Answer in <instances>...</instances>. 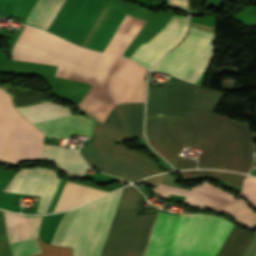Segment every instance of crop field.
<instances>
[{
  "label": "crop field",
  "mask_w": 256,
  "mask_h": 256,
  "mask_svg": "<svg viewBox=\"0 0 256 256\" xmlns=\"http://www.w3.org/2000/svg\"><path fill=\"white\" fill-rule=\"evenodd\" d=\"M223 94L199 87L181 119L147 118L151 147L175 169L196 168V161L179 155L184 147H195L203 149L199 168L248 173L254 162L253 135L249 123L214 113Z\"/></svg>",
  "instance_id": "crop-field-1"
},
{
  "label": "crop field",
  "mask_w": 256,
  "mask_h": 256,
  "mask_svg": "<svg viewBox=\"0 0 256 256\" xmlns=\"http://www.w3.org/2000/svg\"><path fill=\"white\" fill-rule=\"evenodd\" d=\"M121 190L78 208L61 243L73 247V256H101ZM140 194L132 185L122 190L102 256L143 255L157 213L137 216Z\"/></svg>",
  "instance_id": "crop-field-2"
},
{
  "label": "crop field",
  "mask_w": 256,
  "mask_h": 256,
  "mask_svg": "<svg viewBox=\"0 0 256 256\" xmlns=\"http://www.w3.org/2000/svg\"><path fill=\"white\" fill-rule=\"evenodd\" d=\"M144 103L121 104L106 121L96 124L88 146L80 151L88 165L96 170L129 181L164 172L144 153L115 145L113 139L144 136L142 133Z\"/></svg>",
  "instance_id": "crop-field-3"
},
{
  "label": "crop field",
  "mask_w": 256,
  "mask_h": 256,
  "mask_svg": "<svg viewBox=\"0 0 256 256\" xmlns=\"http://www.w3.org/2000/svg\"><path fill=\"white\" fill-rule=\"evenodd\" d=\"M115 58L27 26L13 50L15 60L59 65L55 76L100 86Z\"/></svg>",
  "instance_id": "crop-field-4"
},
{
  "label": "crop field",
  "mask_w": 256,
  "mask_h": 256,
  "mask_svg": "<svg viewBox=\"0 0 256 256\" xmlns=\"http://www.w3.org/2000/svg\"><path fill=\"white\" fill-rule=\"evenodd\" d=\"M233 225L217 217L180 214L167 256H216Z\"/></svg>",
  "instance_id": "crop-field-5"
},
{
  "label": "crop field",
  "mask_w": 256,
  "mask_h": 256,
  "mask_svg": "<svg viewBox=\"0 0 256 256\" xmlns=\"http://www.w3.org/2000/svg\"><path fill=\"white\" fill-rule=\"evenodd\" d=\"M146 69L117 56L100 93L89 91L80 107L103 121L113 106L126 102H143Z\"/></svg>",
  "instance_id": "crop-field-6"
},
{
  "label": "crop field",
  "mask_w": 256,
  "mask_h": 256,
  "mask_svg": "<svg viewBox=\"0 0 256 256\" xmlns=\"http://www.w3.org/2000/svg\"><path fill=\"white\" fill-rule=\"evenodd\" d=\"M41 133L13 108L9 96L0 89V158L14 163L41 158Z\"/></svg>",
  "instance_id": "crop-field-7"
},
{
  "label": "crop field",
  "mask_w": 256,
  "mask_h": 256,
  "mask_svg": "<svg viewBox=\"0 0 256 256\" xmlns=\"http://www.w3.org/2000/svg\"><path fill=\"white\" fill-rule=\"evenodd\" d=\"M210 35L191 27V32L185 41L161 59L154 70L172 75L204 49ZM213 41L212 34L205 49L172 76L196 84L212 58Z\"/></svg>",
  "instance_id": "crop-field-8"
},
{
  "label": "crop field",
  "mask_w": 256,
  "mask_h": 256,
  "mask_svg": "<svg viewBox=\"0 0 256 256\" xmlns=\"http://www.w3.org/2000/svg\"><path fill=\"white\" fill-rule=\"evenodd\" d=\"M153 190L166 198L169 193L187 196L184 204L229 213L245 226L256 228V212L247 206L245 200L238 199L208 182L204 181L201 185L194 186L192 191L162 184Z\"/></svg>",
  "instance_id": "crop-field-9"
},
{
  "label": "crop field",
  "mask_w": 256,
  "mask_h": 256,
  "mask_svg": "<svg viewBox=\"0 0 256 256\" xmlns=\"http://www.w3.org/2000/svg\"><path fill=\"white\" fill-rule=\"evenodd\" d=\"M17 110L31 123L71 115L68 107L51 102L20 107ZM93 123L94 120L79 115H71L35 123V125L53 138H62L75 134L90 135Z\"/></svg>",
  "instance_id": "crop-field-10"
},
{
  "label": "crop field",
  "mask_w": 256,
  "mask_h": 256,
  "mask_svg": "<svg viewBox=\"0 0 256 256\" xmlns=\"http://www.w3.org/2000/svg\"><path fill=\"white\" fill-rule=\"evenodd\" d=\"M198 86L175 79L174 86H149L147 116H183Z\"/></svg>",
  "instance_id": "crop-field-11"
},
{
  "label": "crop field",
  "mask_w": 256,
  "mask_h": 256,
  "mask_svg": "<svg viewBox=\"0 0 256 256\" xmlns=\"http://www.w3.org/2000/svg\"><path fill=\"white\" fill-rule=\"evenodd\" d=\"M60 181L53 170L22 169L16 173L4 191L41 196L37 213H45Z\"/></svg>",
  "instance_id": "crop-field-12"
},
{
  "label": "crop field",
  "mask_w": 256,
  "mask_h": 256,
  "mask_svg": "<svg viewBox=\"0 0 256 256\" xmlns=\"http://www.w3.org/2000/svg\"><path fill=\"white\" fill-rule=\"evenodd\" d=\"M187 29V18L174 15L168 25L149 42L142 44L131 58L150 68L184 38Z\"/></svg>",
  "instance_id": "crop-field-13"
},
{
  "label": "crop field",
  "mask_w": 256,
  "mask_h": 256,
  "mask_svg": "<svg viewBox=\"0 0 256 256\" xmlns=\"http://www.w3.org/2000/svg\"><path fill=\"white\" fill-rule=\"evenodd\" d=\"M43 159L51 161L70 175L83 177L89 168L76 150L45 145Z\"/></svg>",
  "instance_id": "crop-field-14"
},
{
  "label": "crop field",
  "mask_w": 256,
  "mask_h": 256,
  "mask_svg": "<svg viewBox=\"0 0 256 256\" xmlns=\"http://www.w3.org/2000/svg\"><path fill=\"white\" fill-rule=\"evenodd\" d=\"M6 231L9 243L37 237L40 221L39 216H23L4 211Z\"/></svg>",
  "instance_id": "crop-field-15"
},
{
  "label": "crop field",
  "mask_w": 256,
  "mask_h": 256,
  "mask_svg": "<svg viewBox=\"0 0 256 256\" xmlns=\"http://www.w3.org/2000/svg\"><path fill=\"white\" fill-rule=\"evenodd\" d=\"M176 216L160 212L151 233L145 256H166Z\"/></svg>",
  "instance_id": "crop-field-16"
},
{
  "label": "crop field",
  "mask_w": 256,
  "mask_h": 256,
  "mask_svg": "<svg viewBox=\"0 0 256 256\" xmlns=\"http://www.w3.org/2000/svg\"><path fill=\"white\" fill-rule=\"evenodd\" d=\"M106 193L67 181L53 212L67 210Z\"/></svg>",
  "instance_id": "crop-field-17"
},
{
  "label": "crop field",
  "mask_w": 256,
  "mask_h": 256,
  "mask_svg": "<svg viewBox=\"0 0 256 256\" xmlns=\"http://www.w3.org/2000/svg\"><path fill=\"white\" fill-rule=\"evenodd\" d=\"M144 23V21H140L126 15L116 34L106 48L105 53L122 55Z\"/></svg>",
  "instance_id": "crop-field-18"
},
{
  "label": "crop field",
  "mask_w": 256,
  "mask_h": 256,
  "mask_svg": "<svg viewBox=\"0 0 256 256\" xmlns=\"http://www.w3.org/2000/svg\"><path fill=\"white\" fill-rule=\"evenodd\" d=\"M65 0H38L25 24L47 31Z\"/></svg>",
  "instance_id": "crop-field-19"
},
{
  "label": "crop field",
  "mask_w": 256,
  "mask_h": 256,
  "mask_svg": "<svg viewBox=\"0 0 256 256\" xmlns=\"http://www.w3.org/2000/svg\"><path fill=\"white\" fill-rule=\"evenodd\" d=\"M254 235L255 232L244 230L235 224L217 256H242Z\"/></svg>",
  "instance_id": "crop-field-20"
},
{
  "label": "crop field",
  "mask_w": 256,
  "mask_h": 256,
  "mask_svg": "<svg viewBox=\"0 0 256 256\" xmlns=\"http://www.w3.org/2000/svg\"><path fill=\"white\" fill-rule=\"evenodd\" d=\"M2 88L11 95L15 107L48 101L41 93L31 89L12 85H3Z\"/></svg>",
  "instance_id": "crop-field-21"
},
{
  "label": "crop field",
  "mask_w": 256,
  "mask_h": 256,
  "mask_svg": "<svg viewBox=\"0 0 256 256\" xmlns=\"http://www.w3.org/2000/svg\"><path fill=\"white\" fill-rule=\"evenodd\" d=\"M184 176H193V175H206V176H215L218 177L230 185L241 187L245 175L223 172V171H213V170H192L182 172Z\"/></svg>",
  "instance_id": "crop-field-22"
},
{
  "label": "crop field",
  "mask_w": 256,
  "mask_h": 256,
  "mask_svg": "<svg viewBox=\"0 0 256 256\" xmlns=\"http://www.w3.org/2000/svg\"><path fill=\"white\" fill-rule=\"evenodd\" d=\"M11 250L14 256H29L41 253V250L34 239L26 240L23 242L11 244Z\"/></svg>",
  "instance_id": "crop-field-23"
},
{
  "label": "crop field",
  "mask_w": 256,
  "mask_h": 256,
  "mask_svg": "<svg viewBox=\"0 0 256 256\" xmlns=\"http://www.w3.org/2000/svg\"><path fill=\"white\" fill-rule=\"evenodd\" d=\"M36 240L43 253L33 256H72V248L44 244L40 237L36 238Z\"/></svg>",
  "instance_id": "crop-field-24"
},
{
  "label": "crop field",
  "mask_w": 256,
  "mask_h": 256,
  "mask_svg": "<svg viewBox=\"0 0 256 256\" xmlns=\"http://www.w3.org/2000/svg\"><path fill=\"white\" fill-rule=\"evenodd\" d=\"M240 194L249 199L251 203L256 206V178H245Z\"/></svg>",
  "instance_id": "crop-field-25"
},
{
  "label": "crop field",
  "mask_w": 256,
  "mask_h": 256,
  "mask_svg": "<svg viewBox=\"0 0 256 256\" xmlns=\"http://www.w3.org/2000/svg\"><path fill=\"white\" fill-rule=\"evenodd\" d=\"M76 210H77V208L66 212V214H65L64 218L62 219V221L59 225V228H58V230L55 234V237H54L51 244H55V245L60 244V242H61V240H62V238H63V236H64V234H65V232H66V230H67V228H68V226H69V224H70V222H71V220H72V218H73V216L76 212Z\"/></svg>",
  "instance_id": "crop-field-26"
},
{
  "label": "crop field",
  "mask_w": 256,
  "mask_h": 256,
  "mask_svg": "<svg viewBox=\"0 0 256 256\" xmlns=\"http://www.w3.org/2000/svg\"><path fill=\"white\" fill-rule=\"evenodd\" d=\"M0 256H12L4 231L3 215L0 210Z\"/></svg>",
  "instance_id": "crop-field-27"
},
{
  "label": "crop field",
  "mask_w": 256,
  "mask_h": 256,
  "mask_svg": "<svg viewBox=\"0 0 256 256\" xmlns=\"http://www.w3.org/2000/svg\"><path fill=\"white\" fill-rule=\"evenodd\" d=\"M169 5L187 10L186 0H169Z\"/></svg>",
  "instance_id": "crop-field-28"
},
{
  "label": "crop field",
  "mask_w": 256,
  "mask_h": 256,
  "mask_svg": "<svg viewBox=\"0 0 256 256\" xmlns=\"http://www.w3.org/2000/svg\"><path fill=\"white\" fill-rule=\"evenodd\" d=\"M169 198L174 201L181 202V203H183V201L185 199V197H183V196H176V195H172V194H170Z\"/></svg>",
  "instance_id": "crop-field-29"
}]
</instances>
